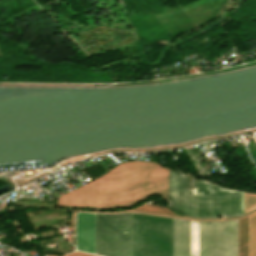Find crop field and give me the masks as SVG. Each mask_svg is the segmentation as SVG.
Masks as SVG:
<instances>
[{
  "label": "crop field",
  "mask_w": 256,
  "mask_h": 256,
  "mask_svg": "<svg viewBox=\"0 0 256 256\" xmlns=\"http://www.w3.org/2000/svg\"><path fill=\"white\" fill-rule=\"evenodd\" d=\"M95 254L132 256V213L96 214Z\"/></svg>",
  "instance_id": "crop-field-4"
},
{
  "label": "crop field",
  "mask_w": 256,
  "mask_h": 256,
  "mask_svg": "<svg viewBox=\"0 0 256 256\" xmlns=\"http://www.w3.org/2000/svg\"><path fill=\"white\" fill-rule=\"evenodd\" d=\"M238 256H248V217L238 220Z\"/></svg>",
  "instance_id": "crop-field-8"
},
{
  "label": "crop field",
  "mask_w": 256,
  "mask_h": 256,
  "mask_svg": "<svg viewBox=\"0 0 256 256\" xmlns=\"http://www.w3.org/2000/svg\"><path fill=\"white\" fill-rule=\"evenodd\" d=\"M256 209V194L244 193V214Z\"/></svg>",
  "instance_id": "crop-field-10"
},
{
  "label": "crop field",
  "mask_w": 256,
  "mask_h": 256,
  "mask_svg": "<svg viewBox=\"0 0 256 256\" xmlns=\"http://www.w3.org/2000/svg\"><path fill=\"white\" fill-rule=\"evenodd\" d=\"M65 256H96V255L75 251V252H73L71 254H68V255H65Z\"/></svg>",
  "instance_id": "crop-field-11"
},
{
  "label": "crop field",
  "mask_w": 256,
  "mask_h": 256,
  "mask_svg": "<svg viewBox=\"0 0 256 256\" xmlns=\"http://www.w3.org/2000/svg\"><path fill=\"white\" fill-rule=\"evenodd\" d=\"M168 170L155 163H121L105 176L60 196L59 205L126 207L160 193L167 199Z\"/></svg>",
  "instance_id": "crop-field-1"
},
{
  "label": "crop field",
  "mask_w": 256,
  "mask_h": 256,
  "mask_svg": "<svg viewBox=\"0 0 256 256\" xmlns=\"http://www.w3.org/2000/svg\"><path fill=\"white\" fill-rule=\"evenodd\" d=\"M249 256H256V213L249 216Z\"/></svg>",
  "instance_id": "crop-field-9"
},
{
  "label": "crop field",
  "mask_w": 256,
  "mask_h": 256,
  "mask_svg": "<svg viewBox=\"0 0 256 256\" xmlns=\"http://www.w3.org/2000/svg\"><path fill=\"white\" fill-rule=\"evenodd\" d=\"M133 256H172V219L133 214Z\"/></svg>",
  "instance_id": "crop-field-3"
},
{
  "label": "crop field",
  "mask_w": 256,
  "mask_h": 256,
  "mask_svg": "<svg viewBox=\"0 0 256 256\" xmlns=\"http://www.w3.org/2000/svg\"><path fill=\"white\" fill-rule=\"evenodd\" d=\"M243 194L241 193V215ZM240 215V193L197 180V217L219 218Z\"/></svg>",
  "instance_id": "crop-field-5"
},
{
  "label": "crop field",
  "mask_w": 256,
  "mask_h": 256,
  "mask_svg": "<svg viewBox=\"0 0 256 256\" xmlns=\"http://www.w3.org/2000/svg\"><path fill=\"white\" fill-rule=\"evenodd\" d=\"M95 214L77 213V250L94 254Z\"/></svg>",
  "instance_id": "crop-field-7"
},
{
  "label": "crop field",
  "mask_w": 256,
  "mask_h": 256,
  "mask_svg": "<svg viewBox=\"0 0 256 256\" xmlns=\"http://www.w3.org/2000/svg\"><path fill=\"white\" fill-rule=\"evenodd\" d=\"M169 206L185 215L196 217V196H193V189H186V175L171 170H169Z\"/></svg>",
  "instance_id": "crop-field-6"
},
{
  "label": "crop field",
  "mask_w": 256,
  "mask_h": 256,
  "mask_svg": "<svg viewBox=\"0 0 256 256\" xmlns=\"http://www.w3.org/2000/svg\"><path fill=\"white\" fill-rule=\"evenodd\" d=\"M191 252H198V227L194 226ZM173 256H190V221L173 219ZM199 256H237V220L199 222Z\"/></svg>",
  "instance_id": "crop-field-2"
}]
</instances>
